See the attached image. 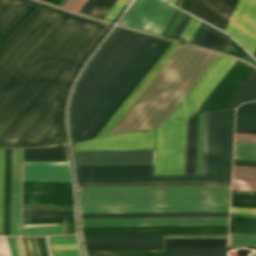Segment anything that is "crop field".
Segmentation results:
<instances>
[{"label":"crop field","mask_w":256,"mask_h":256,"mask_svg":"<svg viewBox=\"0 0 256 256\" xmlns=\"http://www.w3.org/2000/svg\"><path fill=\"white\" fill-rule=\"evenodd\" d=\"M108 24L40 3L0 47V148L65 141L64 105Z\"/></svg>","instance_id":"obj_1"},{"label":"crop field","mask_w":256,"mask_h":256,"mask_svg":"<svg viewBox=\"0 0 256 256\" xmlns=\"http://www.w3.org/2000/svg\"><path fill=\"white\" fill-rule=\"evenodd\" d=\"M217 56L181 45L110 134L163 124Z\"/></svg>","instance_id":"obj_2"},{"label":"crop field","mask_w":256,"mask_h":256,"mask_svg":"<svg viewBox=\"0 0 256 256\" xmlns=\"http://www.w3.org/2000/svg\"><path fill=\"white\" fill-rule=\"evenodd\" d=\"M146 36L132 30L116 28L85 68L75 86L69 114L71 130Z\"/></svg>","instance_id":"obj_3"},{"label":"crop field","mask_w":256,"mask_h":256,"mask_svg":"<svg viewBox=\"0 0 256 256\" xmlns=\"http://www.w3.org/2000/svg\"><path fill=\"white\" fill-rule=\"evenodd\" d=\"M168 43L158 37L147 36L73 128L71 131L72 141L94 137Z\"/></svg>","instance_id":"obj_4"},{"label":"crop field","mask_w":256,"mask_h":256,"mask_svg":"<svg viewBox=\"0 0 256 256\" xmlns=\"http://www.w3.org/2000/svg\"><path fill=\"white\" fill-rule=\"evenodd\" d=\"M81 208L229 206L230 190L79 192Z\"/></svg>","instance_id":"obj_5"},{"label":"crop field","mask_w":256,"mask_h":256,"mask_svg":"<svg viewBox=\"0 0 256 256\" xmlns=\"http://www.w3.org/2000/svg\"><path fill=\"white\" fill-rule=\"evenodd\" d=\"M188 118L157 127L154 174H184Z\"/></svg>","instance_id":"obj_6"},{"label":"crop field","mask_w":256,"mask_h":256,"mask_svg":"<svg viewBox=\"0 0 256 256\" xmlns=\"http://www.w3.org/2000/svg\"><path fill=\"white\" fill-rule=\"evenodd\" d=\"M234 109L210 113L206 174H231Z\"/></svg>","instance_id":"obj_7"},{"label":"crop field","mask_w":256,"mask_h":256,"mask_svg":"<svg viewBox=\"0 0 256 256\" xmlns=\"http://www.w3.org/2000/svg\"><path fill=\"white\" fill-rule=\"evenodd\" d=\"M176 12L159 0H136L121 25L162 35Z\"/></svg>","instance_id":"obj_8"},{"label":"crop field","mask_w":256,"mask_h":256,"mask_svg":"<svg viewBox=\"0 0 256 256\" xmlns=\"http://www.w3.org/2000/svg\"><path fill=\"white\" fill-rule=\"evenodd\" d=\"M234 61L219 55L165 123L192 115Z\"/></svg>","instance_id":"obj_9"},{"label":"crop field","mask_w":256,"mask_h":256,"mask_svg":"<svg viewBox=\"0 0 256 256\" xmlns=\"http://www.w3.org/2000/svg\"><path fill=\"white\" fill-rule=\"evenodd\" d=\"M23 205H73L71 182L24 181Z\"/></svg>","instance_id":"obj_10"},{"label":"crop field","mask_w":256,"mask_h":256,"mask_svg":"<svg viewBox=\"0 0 256 256\" xmlns=\"http://www.w3.org/2000/svg\"><path fill=\"white\" fill-rule=\"evenodd\" d=\"M253 69L236 60L194 114L222 109Z\"/></svg>","instance_id":"obj_11"},{"label":"crop field","mask_w":256,"mask_h":256,"mask_svg":"<svg viewBox=\"0 0 256 256\" xmlns=\"http://www.w3.org/2000/svg\"><path fill=\"white\" fill-rule=\"evenodd\" d=\"M77 165H152L153 150L75 151Z\"/></svg>","instance_id":"obj_12"},{"label":"crop field","mask_w":256,"mask_h":256,"mask_svg":"<svg viewBox=\"0 0 256 256\" xmlns=\"http://www.w3.org/2000/svg\"><path fill=\"white\" fill-rule=\"evenodd\" d=\"M228 225V217L82 219V226Z\"/></svg>","instance_id":"obj_13"},{"label":"crop field","mask_w":256,"mask_h":256,"mask_svg":"<svg viewBox=\"0 0 256 256\" xmlns=\"http://www.w3.org/2000/svg\"><path fill=\"white\" fill-rule=\"evenodd\" d=\"M155 128L74 144L75 150L153 149Z\"/></svg>","instance_id":"obj_14"},{"label":"crop field","mask_w":256,"mask_h":256,"mask_svg":"<svg viewBox=\"0 0 256 256\" xmlns=\"http://www.w3.org/2000/svg\"><path fill=\"white\" fill-rule=\"evenodd\" d=\"M237 0H182L179 7L224 29Z\"/></svg>","instance_id":"obj_15"},{"label":"crop field","mask_w":256,"mask_h":256,"mask_svg":"<svg viewBox=\"0 0 256 256\" xmlns=\"http://www.w3.org/2000/svg\"><path fill=\"white\" fill-rule=\"evenodd\" d=\"M22 149H12L10 235H21Z\"/></svg>","instance_id":"obj_16"},{"label":"crop field","mask_w":256,"mask_h":256,"mask_svg":"<svg viewBox=\"0 0 256 256\" xmlns=\"http://www.w3.org/2000/svg\"><path fill=\"white\" fill-rule=\"evenodd\" d=\"M179 46L180 44L178 43L171 44V46L162 55V57L158 60V62L154 65V67L149 71V73L145 76V78L141 81V83L136 87V89L132 92V94L128 97V99L123 103V105L119 108V110L115 113V115L110 119V121L106 124V126L102 129V131L97 135V137H101L109 134V132L114 128V126L118 123V121L122 118V116L127 112V110L135 102V100L140 96V94L144 91V89L148 86V84L153 80V78L157 75V73L161 70V68L166 64V62L170 59V57L174 54V52L179 48Z\"/></svg>","instance_id":"obj_17"},{"label":"crop field","mask_w":256,"mask_h":256,"mask_svg":"<svg viewBox=\"0 0 256 256\" xmlns=\"http://www.w3.org/2000/svg\"><path fill=\"white\" fill-rule=\"evenodd\" d=\"M36 4L32 0H0V44Z\"/></svg>","instance_id":"obj_18"},{"label":"crop field","mask_w":256,"mask_h":256,"mask_svg":"<svg viewBox=\"0 0 256 256\" xmlns=\"http://www.w3.org/2000/svg\"><path fill=\"white\" fill-rule=\"evenodd\" d=\"M231 175L78 177V182L230 180Z\"/></svg>","instance_id":"obj_19"},{"label":"crop field","mask_w":256,"mask_h":256,"mask_svg":"<svg viewBox=\"0 0 256 256\" xmlns=\"http://www.w3.org/2000/svg\"><path fill=\"white\" fill-rule=\"evenodd\" d=\"M78 176L152 175V166H77Z\"/></svg>","instance_id":"obj_20"},{"label":"crop field","mask_w":256,"mask_h":256,"mask_svg":"<svg viewBox=\"0 0 256 256\" xmlns=\"http://www.w3.org/2000/svg\"><path fill=\"white\" fill-rule=\"evenodd\" d=\"M24 180L70 181L67 165H24Z\"/></svg>","instance_id":"obj_21"},{"label":"crop field","mask_w":256,"mask_h":256,"mask_svg":"<svg viewBox=\"0 0 256 256\" xmlns=\"http://www.w3.org/2000/svg\"><path fill=\"white\" fill-rule=\"evenodd\" d=\"M85 244L163 243V235L83 236Z\"/></svg>","instance_id":"obj_22"},{"label":"crop field","mask_w":256,"mask_h":256,"mask_svg":"<svg viewBox=\"0 0 256 256\" xmlns=\"http://www.w3.org/2000/svg\"><path fill=\"white\" fill-rule=\"evenodd\" d=\"M227 238L165 239V249L226 248Z\"/></svg>","instance_id":"obj_23"},{"label":"crop field","mask_w":256,"mask_h":256,"mask_svg":"<svg viewBox=\"0 0 256 256\" xmlns=\"http://www.w3.org/2000/svg\"><path fill=\"white\" fill-rule=\"evenodd\" d=\"M256 0H239L233 15L224 31L238 40Z\"/></svg>","instance_id":"obj_24"},{"label":"crop field","mask_w":256,"mask_h":256,"mask_svg":"<svg viewBox=\"0 0 256 256\" xmlns=\"http://www.w3.org/2000/svg\"><path fill=\"white\" fill-rule=\"evenodd\" d=\"M229 207L81 209V213L228 211Z\"/></svg>","instance_id":"obj_25"},{"label":"crop field","mask_w":256,"mask_h":256,"mask_svg":"<svg viewBox=\"0 0 256 256\" xmlns=\"http://www.w3.org/2000/svg\"><path fill=\"white\" fill-rule=\"evenodd\" d=\"M82 218L228 216V212L81 214Z\"/></svg>","instance_id":"obj_26"},{"label":"crop field","mask_w":256,"mask_h":256,"mask_svg":"<svg viewBox=\"0 0 256 256\" xmlns=\"http://www.w3.org/2000/svg\"><path fill=\"white\" fill-rule=\"evenodd\" d=\"M232 189L256 191V168L233 166Z\"/></svg>","instance_id":"obj_27"},{"label":"crop field","mask_w":256,"mask_h":256,"mask_svg":"<svg viewBox=\"0 0 256 256\" xmlns=\"http://www.w3.org/2000/svg\"><path fill=\"white\" fill-rule=\"evenodd\" d=\"M198 115L189 118L185 174H195Z\"/></svg>","instance_id":"obj_28"},{"label":"crop field","mask_w":256,"mask_h":256,"mask_svg":"<svg viewBox=\"0 0 256 256\" xmlns=\"http://www.w3.org/2000/svg\"><path fill=\"white\" fill-rule=\"evenodd\" d=\"M230 185V181L79 183V186Z\"/></svg>","instance_id":"obj_29"},{"label":"crop field","mask_w":256,"mask_h":256,"mask_svg":"<svg viewBox=\"0 0 256 256\" xmlns=\"http://www.w3.org/2000/svg\"><path fill=\"white\" fill-rule=\"evenodd\" d=\"M24 160L67 161L63 147L24 149Z\"/></svg>","instance_id":"obj_30"},{"label":"crop field","mask_w":256,"mask_h":256,"mask_svg":"<svg viewBox=\"0 0 256 256\" xmlns=\"http://www.w3.org/2000/svg\"><path fill=\"white\" fill-rule=\"evenodd\" d=\"M227 233V230L83 231V235Z\"/></svg>","instance_id":"obj_31"},{"label":"crop field","mask_w":256,"mask_h":256,"mask_svg":"<svg viewBox=\"0 0 256 256\" xmlns=\"http://www.w3.org/2000/svg\"><path fill=\"white\" fill-rule=\"evenodd\" d=\"M225 189V186L84 187V191Z\"/></svg>","instance_id":"obj_32"},{"label":"crop field","mask_w":256,"mask_h":256,"mask_svg":"<svg viewBox=\"0 0 256 256\" xmlns=\"http://www.w3.org/2000/svg\"><path fill=\"white\" fill-rule=\"evenodd\" d=\"M11 149H5L4 234L9 235Z\"/></svg>","instance_id":"obj_33"},{"label":"crop field","mask_w":256,"mask_h":256,"mask_svg":"<svg viewBox=\"0 0 256 256\" xmlns=\"http://www.w3.org/2000/svg\"><path fill=\"white\" fill-rule=\"evenodd\" d=\"M251 54L256 48V4L238 40Z\"/></svg>","instance_id":"obj_34"},{"label":"crop field","mask_w":256,"mask_h":256,"mask_svg":"<svg viewBox=\"0 0 256 256\" xmlns=\"http://www.w3.org/2000/svg\"><path fill=\"white\" fill-rule=\"evenodd\" d=\"M256 85V70L249 75V77L245 80V82L241 85V87L236 91V93L232 96V98L228 101V103L224 106L225 108H236L240 105L247 95L251 92V90Z\"/></svg>","instance_id":"obj_35"},{"label":"crop field","mask_w":256,"mask_h":256,"mask_svg":"<svg viewBox=\"0 0 256 256\" xmlns=\"http://www.w3.org/2000/svg\"><path fill=\"white\" fill-rule=\"evenodd\" d=\"M228 226L82 227L83 230L227 229Z\"/></svg>","instance_id":"obj_36"},{"label":"crop field","mask_w":256,"mask_h":256,"mask_svg":"<svg viewBox=\"0 0 256 256\" xmlns=\"http://www.w3.org/2000/svg\"><path fill=\"white\" fill-rule=\"evenodd\" d=\"M88 256H163L158 250L87 251Z\"/></svg>","instance_id":"obj_37"},{"label":"crop field","mask_w":256,"mask_h":256,"mask_svg":"<svg viewBox=\"0 0 256 256\" xmlns=\"http://www.w3.org/2000/svg\"><path fill=\"white\" fill-rule=\"evenodd\" d=\"M229 39L225 34L210 27L200 45L222 51Z\"/></svg>","instance_id":"obj_38"},{"label":"crop field","mask_w":256,"mask_h":256,"mask_svg":"<svg viewBox=\"0 0 256 256\" xmlns=\"http://www.w3.org/2000/svg\"><path fill=\"white\" fill-rule=\"evenodd\" d=\"M165 256H226V249L165 250Z\"/></svg>","instance_id":"obj_39"},{"label":"crop field","mask_w":256,"mask_h":256,"mask_svg":"<svg viewBox=\"0 0 256 256\" xmlns=\"http://www.w3.org/2000/svg\"><path fill=\"white\" fill-rule=\"evenodd\" d=\"M87 250L163 249L161 245H85Z\"/></svg>","instance_id":"obj_40"},{"label":"crop field","mask_w":256,"mask_h":256,"mask_svg":"<svg viewBox=\"0 0 256 256\" xmlns=\"http://www.w3.org/2000/svg\"><path fill=\"white\" fill-rule=\"evenodd\" d=\"M61 234V226L23 228V236Z\"/></svg>","instance_id":"obj_41"},{"label":"crop field","mask_w":256,"mask_h":256,"mask_svg":"<svg viewBox=\"0 0 256 256\" xmlns=\"http://www.w3.org/2000/svg\"><path fill=\"white\" fill-rule=\"evenodd\" d=\"M116 0H97L91 10L88 12L89 15L104 18L110 8L113 6Z\"/></svg>","instance_id":"obj_42"},{"label":"crop field","mask_w":256,"mask_h":256,"mask_svg":"<svg viewBox=\"0 0 256 256\" xmlns=\"http://www.w3.org/2000/svg\"><path fill=\"white\" fill-rule=\"evenodd\" d=\"M234 159L256 161V146L235 145Z\"/></svg>","instance_id":"obj_43"},{"label":"crop field","mask_w":256,"mask_h":256,"mask_svg":"<svg viewBox=\"0 0 256 256\" xmlns=\"http://www.w3.org/2000/svg\"><path fill=\"white\" fill-rule=\"evenodd\" d=\"M73 216V211H23V218Z\"/></svg>","instance_id":"obj_44"},{"label":"crop field","mask_w":256,"mask_h":256,"mask_svg":"<svg viewBox=\"0 0 256 256\" xmlns=\"http://www.w3.org/2000/svg\"><path fill=\"white\" fill-rule=\"evenodd\" d=\"M4 149H0V234H3Z\"/></svg>","instance_id":"obj_45"},{"label":"crop field","mask_w":256,"mask_h":256,"mask_svg":"<svg viewBox=\"0 0 256 256\" xmlns=\"http://www.w3.org/2000/svg\"><path fill=\"white\" fill-rule=\"evenodd\" d=\"M204 113L199 115L196 174H200Z\"/></svg>","instance_id":"obj_46"},{"label":"crop field","mask_w":256,"mask_h":256,"mask_svg":"<svg viewBox=\"0 0 256 256\" xmlns=\"http://www.w3.org/2000/svg\"><path fill=\"white\" fill-rule=\"evenodd\" d=\"M233 246H256V236L234 234Z\"/></svg>","instance_id":"obj_47"},{"label":"crop field","mask_w":256,"mask_h":256,"mask_svg":"<svg viewBox=\"0 0 256 256\" xmlns=\"http://www.w3.org/2000/svg\"><path fill=\"white\" fill-rule=\"evenodd\" d=\"M200 22L201 21H199V20H197V19L192 17V19L190 20V22L186 26L185 30L183 31V33L179 37V40H183V41L189 42V40L192 37V35L194 34L195 30L199 26Z\"/></svg>","instance_id":"obj_48"},{"label":"crop field","mask_w":256,"mask_h":256,"mask_svg":"<svg viewBox=\"0 0 256 256\" xmlns=\"http://www.w3.org/2000/svg\"><path fill=\"white\" fill-rule=\"evenodd\" d=\"M209 113H205L201 174H205Z\"/></svg>","instance_id":"obj_49"},{"label":"crop field","mask_w":256,"mask_h":256,"mask_svg":"<svg viewBox=\"0 0 256 256\" xmlns=\"http://www.w3.org/2000/svg\"><path fill=\"white\" fill-rule=\"evenodd\" d=\"M129 0H117L108 14L105 16L104 20L113 22L117 15L123 10V8L128 4ZM119 16V15H118Z\"/></svg>","instance_id":"obj_50"},{"label":"crop field","mask_w":256,"mask_h":256,"mask_svg":"<svg viewBox=\"0 0 256 256\" xmlns=\"http://www.w3.org/2000/svg\"><path fill=\"white\" fill-rule=\"evenodd\" d=\"M236 116L256 118V103L242 104L237 108Z\"/></svg>","instance_id":"obj_51"},{"label":"crop field","mask_w":256,"mask_h":256,"mask_svg":"<svg viewBox=\"0 0 256 256\" xmlns=\"http://www.w3.org/2000/svg\"><path fill=\"white\" fill-rule=\"evenodd\" d=\"M230 232L256 234V225L230 223Z\"/></svg>","instance_id":"obj_52"},{"label":"crop field","mask_w":256,"mask_h":256,"mask_svg":"<svg viewBox=\"0 0 256 256\" xmlns=\"http://www.w3.org/2000/svg\"><path fill=\"white\" fill-rule=\"evenodd\" d=\"M224 52L236 55L242 59L247 55L234 41L230 39L228 44L223 49Z\"/></svg>","instance_id":"obj_53"},{"label":"crop field","mask_w":256,"mask_h":256,"mask_svg":"<svg viewBox=\"0 0 256 256\" xmlns=\"http://www.w3.org/2000/svg\"><path fill=\"white\" fill-rule=\"evenodd\" d=\"M236 128L256 129V119L236 117Z\"/></svg>","instance_id":"obj_54"},{"label":"crop field","mask_w":256,"mask_h":256,"mask_svg":"<svg viewBox=\"0 0 256 256\" xmlns=\"http://www.w3.org/2000/svg\"><path fill=\"white\" fill-rule=\"evenodd\" d=\"M190 19H191V16L184 13L183 17L181 18L178 25L176 26L173 33L171 34V37L178 39V37L180 36V34L184 30L185 26L187 25Z\"/></svg>","instance_id":"obj_55"},{"label":"crop field","mask_w":256,"mask_h":256,"mask_svg":"<svg viewBox=\"0 0 256 256\" xmlns=\"http://www.w3.org/2000/svg\"><path fill=\"white\" fill-rule=\"evenodd\" d=\"M210 26L206 25L205 23L201 22L200 26L196 30L195 34L191 38L190 42L191 43H196L199 44L207 30L209 29Z\"/></svg>","instance_id":"obj_56"},{"label":"crop field","mask_w":256,"mask_h":256,"mask_svg":"<svg viewBox=\"0 0 256 256\" xmlns=\"http://www.w3.org/2000/svg\"><path fill=\"white\" fill-rule=\"evenodd\" d=\"M63 218L23 219V224L62 223Z\"/></svg>","instance_id":"obj_57"},{"label":"crop field","mask_w":256,"mask_h":256,"mask_svg":"<svg viewBox=\"0 0 256 256\" xmlns=\"http://www.w3.org/2000/svg\"><path fill=\"white\" fill-rule=\"evenodd\" d=\"M85 1L86 0H66L63 7L79 11Z\"/></svg>","instance_id":"obj_58"},{"label":"crop field","mask_w":256,"mask_h":256,"mask_svg":"<svg viewBox=\"0 0 256 256\" xmlns=\"http://www.w3.org/2000/svg\"><path fill=\"white\" fill-rule=\"evenodd\" d=\"M55 256H80L78 249L53 250Z\"/></svg>","instance_id":"obj_59"},{"label":"crop field","mask_w":256,"mask_h":256,"mask_svg":"<svg viewBox=\"0 0 256 256\" xmlns=\"http://www.w3.org/2000/svg\"><path fill=\"white\" fill-rule=\"evenodd\" d=\"M51 244L77 243L76 237L50 238Z\"/></svg>","instance_id":"obj_60"},{"label":"crop field","mask_w":256,"mask_h":256,"mask_svg":"<svg viewBox=\"0 0 256 256\" xmlns=\"http://www.w3.org/2000/svg\"><path fill=\"white\" fill-rule=\"evenodd\" d=\"M235 141L256 142V135L237 134L235 133Z\"/></svg>","instance_id":"obj_61"},{"label":"crop field","mask_w":256,"mask_h":256,"mask_svg":"<svg viewBox=\"0 0 256 256\" xmlns=\"http://www.w3.org/2000/svg\"><path fill=\"white\" fill-rule=\"evenodd\" d=\"M65 219H68V221L65 222V225H64L65 233L66 234H75L73 217H69V218H65Z\"/></svg>","instance_id":"obj_62"},{"label":"crop field","mask_w":256,"mask_h":256,"mask_svg":"<svg viewBox=\"0 0 256 256\" xmlns=\"http://www.w3.org/2000/svg\"><path fill=\"white\" fill-rule=\"evenodd\" d=\"M231 199L256 201V195L232 193Z\"/></svg>","instance_id":"obj_63"},{"label":"crop field","mask_w":256,"mask_h":256,"mask_svg":"<svg viewBox=\"0 0 256 256\" xmlns=\"http://www.w3.org/2000/svg\"><path fill=\"white\" fill-rule=\"evenodd\" d=\"M14 238H15V242H16V246H17L19 256H26L24 246H23V243H22V239L17 238V237H14Z\"/></svg>","instance_id":"obj_64"},{"label":"crop field","mask_w":256,"mask_h":256,"mask_svg":"<svg viewBox=\"0 0 256 256\" xmlns=\"http://www.w3.org/2000/svg\"><path fill=\"white\" fill-rule=\"evenodd\" d=\"M6 237H7L11 256H18L13 237H9V236H6Z\"/></svg>","instance_id":"obj_65"},{"label":"crop field","mask_w":256,"mask_h":256,"mask_svg":"<svg viewBox=\"0 0 256 256\" xmlns=\"http://www.w3.org/2000/svg\"><path fill=\"white\" fill-rule=\"evenodd\" d=\"M231 212L256 214V209L231 207Z\"/></svg>","instance_id":"obj_66"},{"label":"crop field","mask_w":256,"mask_h":256,"mask_svg":"<svg viewBox=\"0 0 256 256\" xmlns=\"http://www.w3.org/2000/svg\"><path fill=\"white\" fill-rule=\"evenodd\" d=\"M95 2L96 0H87L83 7L80 9V11L87 13Z\"/></svg>","instance_id":"obj_67"},{"label":"crop field","mask_w":256,"mask_h":256,"mask_svg":"<svg viewBox=\"0 0 256 256\" xmlns=\"http://www.w3.org/2000/svg\"><path fill=\"white\" fill-rule=\"evenodd\" d=\"M24 164H68L67 162L24 161Z\"/></svg>","instance_id":"obj_68"},{"label":"crop field","mask_w":256,"mask_h":256,"mask_svg":"<svg viewBox=\"0 0 256 256\" xmlns=\"http://www.w3.org/2000/svg\"><path fill=\"white\" fill-rule=\"evenodd\" d=\"M53 249L78 248L77 244L52 245Z\"/></svg>","instance_id":"obj_69"},{"label":"crop field","mask_w":256,"mask_h":256,"mask_svg":"<svg viewBox=\"0 0 256 256\" xmlns=\"http://www.w3.org/2000/svg\"><path fill=\"white\" fill-rule=\"evenodd\" d=\"M2 237L0 236V248H1L2 256H6L7 250H6V253H5L6 246H5V249H4L5 242H4V245H3L4 238H3V241H2ZM5 241H6V238H5ZM6 245H7V242H6ZM7 249H8V246H7ZM8 253H9V250H8ZM0 256H1V253H0ZM7 256H8V254H7ZM9 256H10V254H9Z\"/></svg>","instance_id":"obj_70"},{"label":"crop field","mask_w":256,"mask_h":256,"mask_svg":"<svg viewBox=\"0 0 256 256\" xmlns=\"http://www.w3.org/2000/svg\"><path fill=\"white\" fill-rule=\"evenodd\" d=\"M252 100H256V87L252 90V92L249 94V96L245 99L244 102Z\"/></svg>","instance_id":"obj_71"},{"label":"crop field","mask_w":256,"mask_h":256,"mask_svg":"<svg viewBox=\"0 0 256 256\" xmlns=\"http://www.w3.org/2000/svg\"><path fill=\"white\" fill-rule=\"evenodd\" d=\"M230 219L256 221V218H252V217L231 216Z\"/></svg>","instance_id":"obj_72"},{"label":"crop field","mask_w":256,"mask_h":256,"mask_svg":"<svg viewBox=\"0 0 256 256\" xmlns=\"http://www.w3.org/2000/svg\"><path fill=\"white\" fill-rule=\"evenodd\" d=\"M231 206L256 208V205H252V204L231 203Z\"/></svg>","instance_id":"obj_73"},{"label":"crop field","mask_w":256,"mask_h":256,"mask_svg":"<svg viewBox=\"0 0 256 256\" xmlns=\"http://www.w3.org/2000/svg\"><path fill=\"white\" fill-rule=\"evenodd\" d=\"M234 163H241V164H256L255 161H241V160H234Z\"/></svg>","instance_id":"obj_74"},{"label":"crop field","mask_w":256,"mask_h":256,"mask_svg":"<svg viewBox=\"0 0 256 256\" xmlns=\"http://www.w3.org/2000/svg\"><path fill=\"white\" fill-rule=\"evenodd\" d=\"M235 132H241V133H255L256 134V131L255 130H242V129H236Z\"/></svg>","instance_id":"obj_75"},{"label":"crop field","mask_w":256,"mask_h":256,"mask_svg":"<svg viewBox=\"0 0 256 256\" xmlns=\"http://www.w3.org/2000/svg\"><path fill=\"white\" fill-rule=\"evenodd\" d=\"M232 192L256 194V192H253V191H239V190H232Z\"/></svg>","instance_id":"obj_76"},{"label":"crop field","mask_w":256,"mask_h":256,"mask_svg":"<svg viewBox=\"0 0 256 256\" xmlns=\"http://www.w3.org/2000/svg\"><path fill=\"white\" fill-rule=\"evenodd\" d=\"M230 222H237V223H251V224H256V222H249V221H236V220H230Z\"/></svg>","instance_id":"obj_77"},{"label":"crop field","mask_w":256,"mask_h":256,"mask_svg":"<svg viewBox=\"0 0 256 256\" xmlns=\"http://www.w3.org/2000/svg\"><path fill=\"white\" fill-rule=\"evenodd\" d=\"M231 202H238V203H253V204H256V202H252V201H238V200H231Z\"/></svg>","instance_id":"obj_78"},{"label":"crop field","mask_w":256,"mask_h":256,"mask_svg":"<svg viewBox=\"0 0 256 256\" xmlns=\"http://www.w3.org/2000/svg\"><path fill=\"white\" fill-rule=\"evenodd\" d=\"M231 215H232V213H231ZM233 215L256 217V215H252V214H238V213H233Z\"/></svg>","instance_id":"obj_79"},{"label":"crop field","mask_w":256,"mask_h":256,"mask_svg":"<svg viewBox=\"0 0 256 256\" xmlns=\"http://www.w3.org/2000/svg\"><path fill=\"white\" fill-rule=\"evenodd\" d=\"M235 144H242V145H256V143H242V142H235Z\"/></svg>","instance_id":"obj_80"},{"label":"crop field","mask_w":256,"mask_h":256,"mask_svg":"<svg viewBox=\"0 0 256 256\" xmlns=\"http://www.w3.org/2000/svg\"><path fill=\"white\" fill-rule=\"evenodd\" d=\"M27 238H28V242H29V246H30V249H31L32 256H34L33 251H32V247H31V243H30V239H29V237H27Z\"/></svg>","instance_id":"obj_81"},{"label":"crop field","mask_w":256,"mask_h":256,"mask_svg":"<svg viewBox=\"0 0 256 256\" xmlns=\"http://www.w3.org/2000/svg\"><path fill=\"white\" fill-rule=\"evenodd\" d=\"M46 1H49V2H52V3L57 4V2H58L59 0H46Z\"/></svg>","instance_id":"obj_82"},{"label":"crop field","mask_w":256,"mask_h":256,"mask_svg":"<svg viewBox=\"0 0 256 256\" xmlns=\"http://www.w3.org/2000/svg\"><path fill=\"white\" fill-rule=\"evenodd\" d=\"M168 1H170V2H172L174 4H177V2H178V0H168Z\"/></svg>","instance_id":"obj_83"},{"label":"crop field","mask_w":256,"mask_h":256,"mask_svg":"<svg viewBox=\"0 0 256 256\" xmlns=\"http://www.w3.org/2000/svg\"><path fill=\"white\" fill-rule=\"evenodd\" d=\"M234 165H240V166H255V165H241V164H234ZM256 167V166H255Z\"/></svg>","instance_id":"obj_84"},{"label":"crop field","mask_w":256,"mask_h":256,"mask_svg":"<svg viewBox=\"0 0 256 256\" xmlns=\"http://www.w3.org/2000/svg\"><path fill=\"white\" fill-rule=\"evenodd\" d=\"M253 56L256 58V50H255V52H254Z\"/></svg>","instance_id":"obj_85"},{"label":"crop field","mask_w":256,"mask_h":256,"mask_svg":"<svg viewBox=\"0 0 256 256\" xmlns=\"http://www.w3.org/2000/svg\"><path fill=\"white\" fill-rule=\"evenodd\" d=\"M63 237V236H62Z\"/></svg>","instance_id":"obj_86"}]
</instances>
